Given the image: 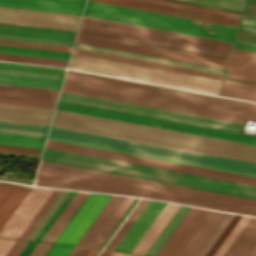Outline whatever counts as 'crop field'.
<instances>
[{
  "instance_id": "crop-field-1",
  "label": "crop field",
  "mask_w": 256,
  "mask_h": 256,
  "mask_svg": "<svg viewBox=\"0 0 256 256\" xmlns=\"http://www.w3.org/2000/svg\"><path fill=\"white\" fill-rule=\"evenodd\" d=\"M35 185L169 200L256 216V200L41 161Z\"/></svg>"
},
{
  "instance_id": "crop-field-2",
  "label": "crop field",
  "mask_w": 256,
  "mask_h": 256,
  "mask_svg": "<svg viewBox=\"0 0 256 256\" xmlns=\"http://www.w3.org/2000/svg\"><path fill=\"white\" fill-rule=\"evenodd\" d=\"M51 125L256 162V146L64 111H55Z\"/></svg>"
},
{
  "instance_id": "crop-field-3",
  "label": "crop field",
  "mask_w": 256,
  "mask_h": 256,
  "mask_svg": "<svg viewBox=\"0 0 256 256\" xmlns=\"http://www.w3.org/2000/svg\"><path fill=\"white\" fill-rule=\"evenodd\" d=\"M63 91L152 106L242 123L256 120V110L107 82L65 76Z\"/></svg>"
},
{
  "instance_id": "crop-field-4",
  "label": "crop field",
  "mask_w": 256,
  "mask_h": 256,
  "mask_svg": "<svg viewBox=\"0 0 256 256\" xmlns=\"http://www.w3.org/2000/svg\"><path fill=\"white\" fill-rule=\"evenodd\" d=\"M41 160L256 199V186L249 184L47 148Z\"/></svg>"
},
{
  "instance_id": "crop-field-5",
  "label": "crop field",
  "mask_w": 256,
  "mask_h": 256,
  "mask_svg": "<svg viewBox=\"0 0 256 256\" xmlns=\"http://www.w3.org/2000/svg\"><path fill=\"white\" fill-rule=\"evenodd\" d=\"M83 15L231 42L238 29L90 0L87 1Z\"/></svg>"
},
{
  "instance_id": "crop-field-6",
  "label": "crop field",
  "mask_w": 256,
  "mask_h": 256,
  "mask_svg": "<svg viewBox=\"0 0 256 256\" xmlns=\"http://www.w3.org/2000/svg\"><path fill=\"white\" fill-rule=\"evenodd\" d=\"M68 68L216 95L219 94L222 82L74 53L71 55Z\"/></svg>"
},
{
  "instance_id": "crop-field-7",
  "label": "crop field",
  "mask_w": 256,
  "mask_h": 256,
  "mask_svg": "<svg viewBox=\"0 0 256 256\" xmlns=\"http://www.w3.org/2000/svg\"><path fill=\"white\" fill-rule=\"evenodd\" d=\"M48 136L256 174V163L247 161L53 126L50 127Z\"/></svg>"
},
{
  "instance_id": "crop-field-8",
  "label": "crop field",
  "mask_w": 256,
  "mask_h": 256,
  "mask_svg": "<svg viewBox=\"0 0 256 256\" xmlns=\"http://www.w3.org/2000/svg\"><path fill=\"white\" fill-rule=\"evenodd\" d=\"M79 30L227 57L230 56L233 45L231 43H225L85 16L82 17Z\"/></svg>"
},
{
  "instance_id": "crop-field-9",
  "label": "crop field",
  "mask_w": 256,
  "mask_h": 256,
  "mask_svg": "<svg viewBox=\"0 0 256 256\" xmlns=\"http://www.w3.org/2000/svg\"><path fill=\"white\" fill-rule=\"evenodd\" d=\"M58 110H64L69 112H75L80 114H86L91 116H97L102 118H108L113 120H119L124 122H130L135 124H141L146 126L158 127L163 129H169L174 131H180L185 133H191L196 135H202L207 137H213L218 139H224L229 141H235L240 143H246L256 145V136L228 132L223 130L211 129L206 127H200L195 125H189L184 123H178L173 121L161 120L156 118H150L145 116H139L134 114L122 113L117 111H111L106 109H100L95 107H89L84 105L72 104L67 102H58Z\"/></svg>"
},
{
  "instance_id": "crop-field-10",
  "label": "crop field",
  "mask_w": 256,
  "mask_h": 256,
  "mask_svg": "<svg viewBox=\"0 0 256 256\" xmlns=\"http://www.w3.org/2000/svg\"><path fill=\"white\" fill-rule=\"evenodd\" d=\"M59 100L78 103V104H84L89 106H95L100 108L112 109L117 111H123L128 113H134L139 115L151 116L156 118H162L167 120L179 121L184 123H190L195 125H201L206 127L218 128L223 130H229L234 132H238L242 125L240 123H234L229 121H223V120L190 115L185 113H179L174 111H168L163 109L151 108L146 106H140L135 104H129L124 102H118V101L107 100V99L96 98L91 96L63 92V91H61L60 93Z\"/></svg>"
},
{
  "instance_id": "crop-field-11",
  "label": "crop field",
  "mask_w": 256,
  "mask_h": 256,
  "mask_svg": "<svg viewBox=\"0 0 256 256\" xmlns=\"http://www.w3.org/2000/svg\"><path fill=\"white\" fill-rule=\"evenodd\" d=\"M45 146L256 185V178L253 177L155 160L60 141L47 139Z\"/></svg>"
},
{
  "instance_id": "crop-field-12",
  "label": "crop field",
  "mask_w": 256,
  "mask_h": 256,
  "mask_svg": "<svg viewBox=\"0 0 256 256\" xmlns=\"http://www.w3.org/2000/svg\"><path fill=\"white\" fill-rule=\"evenodd\" d=\"M76 41L223 69L226 68V64L228 61L226 59H220L210 56H204L194 53H188L178 50L145 45L81 32L78 33Z\"/></svg>"
},
{
  "instance_id": "crop-field-13",
  "label": "crop field",
  "mask_w": 256,
  "mask_h": 256,
  "mask_svg": "<svg viewBox=\"0 0 256 256\" xmlns=\"http://www.w3.org/2000/svg\"><path fill=\"white\" fill-rule=\"evenodd\" d=\"M81 16L0 7V23L76 31Z\"/></svg>"
},
{
  "instance_id": "crop-field-14",
  "label": "crop field",
  "mask_w": 256,
  "mask_h": 256,
  "mask_svg": "<svg viewBox=\"0 0 256 256\" xmlns=\"http://www.w3.org/2000/svg\"><path fill=\"white\" fill-rule=\"evenodd\" d=\"M64 72L0 65V83L59 90Z\"/></svg>"
},
{
  "instance_id": "crop-field-15",
  "label": "crop field",
  "mask_w": 256,
  "mask_h": 256,
  "mask_svg": "<svg viewBox=\"0 0 256 256\" xmlns=\"http://www.w3.org/2000/svg\"><path fill=\"white\" fill-rule=\"evenodd\" d=\"M110 197L91 193L55 243L76 245Z\"/></svg>"
},
{
  "instance_id": "crop-field-16",
  "label": "crop field",
  "mask_w": 256,
  "mask_h": 256,
  "mask_svg": "<svg viewBox=\"0 0 256 256\" xmlns=\"http://www.w3.org/2000/svg\"><path fill=\"white\" fill-rule=\"evenodd\" d=\"M53 189L32 187L0 231L1 238L17 239Z\"/></svg>"
},
{
  "instance_id": "crop-field-17",
  "label": "crop field",
  "mask_w": 256,
  "mask_h": 256,
  "mask_svg": "<svg viewBox=\"0 0 256 256\" xmlns=\"http://www.w3.org/2000/svg\"><path fill=\"white\" fill-rule=\"evenodd\" d=\"M165 205V202L150 200L115 250L131 253Z\"/></svg>"
},
{
  "instance_id": "crop-field-18",
  "label": "crop field",
  "mask_w": 256,
  "mask_h": 256,
  "mask_svg": "<svg viewBox=\"0 0 256 256\" xmlns=\"http://www.w3.org/2000/svg\"><path fill=\"white\" fill-rule=\"evenodd\" d=\"M85 0H0V6L81 15Z\"/></svg>"
},
{
  "instance_id": "crop-field-19",
  "label": "crop field",
  "mask_w": 256,
  "mask_h": 256,
  "mask_svg": "<svg viewBox=\"0 0 256 256\" xmlns=\"http://www.w3.org/2000/svg\"><path fill=\"white\" fill-rule=\"evenodd\" d=\"M54 109L0 103V119L49 125Z\"/></svg>"
},
{
  "instance_id": "crop-field-20",
  "label": "crop field",
  "mask_w": 256,
  "mask_h": 256,
  "mask_svg": "<svg viewBox=\"0 0 256 256\" xmlns=\"http://www.w3.org/2000/svg\"><path fill=\"white\" fill-rule=\"evenodd\" d=\"M126 199L125 196L112 195L77 245L92 247Z\"/></svg>"
},
{
  "instance_id": "crop-field-21",
  "label": "crop field",
  "mask_w": 256,
  "mask_h": 256,
  "mask_svg": "<svg viewBox=\"0 0 256 256\" xmlns=\"http://www.w3.org/2000/svg\"><path fill=\"white\" fill-rule=\"evenodd\" d=\"M96 1L123 5V6L133 7V8L144 9V10H150V11H155L160 13H166V14L193 18V19L209 21L214 23H220V24L236 26V27H238V24H239V21L237 20H231V19H226L221 17H215V16H210L205 14L173 9V8L156 6V5L140 3V2L130 1V0H96Z\"/></svg>"
},
{
  "instance_id": "crop-field-22",
  "label": "crop field",
  "mask_w": 256,
  "mask_h": 256,
  "mask_svg": "<svg viewBox=\"0 0 256 256\" xmlns=\"http://www.w3.org/2000/svg\"><path fill=\"white\" fill-rule=\"evenodd\" d=\"M225 77L256 83V52L234 48Z\"/></svg>"
},
{
  "instance_id": "crop-field-23",
  "label": "crop field",
  "mask_w": 256,
  "mask_h": 256,
  "mask_svg": "<svg viewBox=\"0 0 256 256\" xmlns=\"http://www.w3.org/2000/svg\"><path fill=\"white\" fill-rule=\"evenodd\" d=\"M31 187L0 182V230Z\"/></svg>"
},
{
  "instance_id": "crop-field-24",
  "label": "crop field",
  "mask_w": 256,
  "mask_h": 256,
  "mask_svg": "<svg viewBox=\"0 0 256 256\" xmlns=\"http://www.w3.org/2000/svg\"><path fill=\"white\" fill-rule=\"evenodd\" d=\"M89 195L90 193L88 192L77 191L62 210L60 215L57 217L52 226L49 228L47 233L41 239V241L54 243V241L57 239V237L60 235V233L63 231V229L66 227V225L69 223V221L72 219V217L75 215V213L78 211V209Z\"/></svg>"
},
{
  "instance_id": "crop-field-25",
  "label": "crop field",
  "mask_w": 256,
  "mask_h": 256,
  "mask_svg": "<svg viewBox=\"0 0 256 256\" xmlns=\"http://www.w3.org/2000/svg\"><path fill=\"white\" fill-rule=\"evenodd\" d=\"M72 52L85 54V55H90V56L101 57V58H107V59H112V60H117V61H123V62H128V63H134V64H139V65H144V66H150V67H155V68H160V69H166V70H171V71H177V72H182V73H187V74L204 76V77H209V78H214V79H220V80H222L223 76H224L222 74L199 71V70H194V69L171 66V65H166V64L143 61V60H138V59L115 56V55L104 54V53L93 52V51H87V50L76 49V48H74Z\"/></svg>"
},
{
  "instance_id": "crop-field-26",
  "label": "crop field",
  "mask_w": 256,
  "mask_h": 256,
  "mask_svg": "<svg viewBox=\"0 0 256 256\" xmlns=\"http://www.w3.org/2000/svg\"><path fill=\"white\" fill-rule=\"evenodd\" d=\"M74 47L87 49V50H93V51H99V52H104V53H110V54H115V55L127 56V57H132V58H138V59H143V60L155 61V62H160V63H166V64H171V65L183 66V67H188V68H194V69H199V70L211 71V72H216V73H222V74H224V72H225V70H223V69H217V68H212V67H207V66H201V65L191 64V63H185V62H180V61H175V60H169V59H164V58H159V57L142 55V54H137V53H132V52H126V51H121V50H116V49H110V48L94 46V45H89V44H84V43H78V42L75 43Z\"/></svg>"
},
{
  "instance_id": "crop-field-27",
  "label": "crop field",
  "mask_w": 256,
  "mask_h": 256,
  "mask_svg": "<svg viewBox=\"0 0 256 256\" xmlns=\"http://www.w3.org/2000/svg\"><path fill=\"white\" fill-rule=\"evenodd\" d=\"M179 207V204L167 203L132 253L144 255Z\"/></svg>"
},
{
  "instance_id": "crop-field-28",
  "label": "crop field",
  "mask_w": 256,
  "mask_h": 256,
  "mask_svg": "<svg viewBox=\"0 0 256 256\" xmlns=\"http://www.w3.org/2000/svg\"><path fill=\"white\" fill-rule=\"evenodd\" d=\"M0 33L73 41L76 32L0 24Z\"/></svg>"
},
{
  "instance_id": "crop-field-29",
  "label": "crop field",
  "mask_w": 256,
  "mask_h": 256,
  "mask_svg": "<svg viewBox=\"0 0 256 256\" xmlns=\"http://www.w3.org/2000/svg\"><path fill=\"white\" fill-rule=\"evenodd\" d=\"M256 243V218L251 217L223 256H246Z\"/></svg>"
},
{
  "instance_id": "crop-field-30",
  "label": "crop field",
  "mask_w": 256,
  "mask_h": 256,
  "mask_svg": "<svg viewBox=\"0 0 256 256\" xmlns=\"http://www.w3.org/2000/svg\"><path fill=\"white\" fill-rule=\"evenodd\" d=\"M220 95L256 101V85L225 79Z\"/></svg>"
},
{
  "instance_id": "crop-field-31",
  "label": "crop field",
  "mask_w": 256,
  "mask_h": 256,
  "mask_svg": "<svg viewBox=\"0 0 256 256\" xmlns=\"http://www.w3.org/2000/svg\"><path fill=\"white\" fill-rule=\"evenodd\" d=\"M228 214L216 212L200 236L184 256H197Z\"/></svg>"
},
{
  "instance_id": "crop-field-32",
  "label": "crop field",
  "mask_w": 256,
  "mask_h": 256,
  "mask_svg": "<svg viewBox=\"0 0 256 256\" xmlns=\"http://www.w3.org/2000/svg\"><path fill=\"white\" fill-rule=\"evenodd\" d=\"M189 209V206L181 205V207L178 209V211L175 213V215L172 217V219L148 249V251L145 253L146 256H155L158 253V251L161 249L163 244L169 238L171 233L174 231L176 226L179 224Z\"/></svg>"
},
{
  "instance_id": "crop-field-33",
  "label": "crop field",
  "mask_w": 256,
  "mask_h": 256,
  "mask_svg": "<svg viewBox=\"0 0 256 256\" xmlns=\"http://www.w3.org/2000/svg\"><path fill=\"white\" fill-rule=\"evenodd\" d=\"M44 138L41 136L0 132V144L2 145L42 149Z\"/></svg>"
},
{
  "instance_id": "crop-field-34",
  "label": "crop field",
  "mask_w": 256,
  "mask_h": 256,
  "mask_svg": "<svg viewBox=\"0 0 256 256\" xmlns=\"http://www.w3.org/2000/svg\"><path fill=\"white\" fill-rule=\"evenodd\" d=\"M0 53L19 54V55H28V56H37V57H46V58H55V59H64V60H68L69 54H70L66 52L11 47V46H2V45H0Z\"/></svg>"
},
{
  "instance_id": "crop-field-35",
  "label": "crop field",
  "mask_w": 256,
  "mask_h": 256,
  "mask_svg": "<svg viewBox=\"0 0 256 256\" xmlns=\"http://www.w3.org/2000/svg\"><path fill=\"white\" fill-rule=\"evenodd\" d=\"M49 126L0 120V131L45 136Z\"/></svg>"
},
{
  "instance_id": "crop-field-36",
  "label": "crop field",
  "mask_w": 256,
  "mask_h": 256,
  "mask_svg": "<svg viewBox=\"0 0 256 256\" xmlns=\"http://www.w3.org/2000/svg\"><path fill=\"white\" fill-rule=\"evenodd\" d=\"M0 93L56 99L59 91L0 84Z\"/></svg>"
},
{
  "instance_id": "crop-field-37",
  "label": "crop field",
  "mask_w": 256,
  "mask_h": 256,
  "mask_svg": "<svg viewBox=\"0 0 256 256\" xmlns=\"http://www.w3.org/2000/svg\"><path fill=\"white\" fill-rule=\"evenodd\" d=\"M0 102L54 108L56 100L0 94Z\"/></svg>"
},
{
  "instance_id": "crop-field-38",
  "label": "crop field",
  "mask_w": 256,
  "mask_h": 256,
  "mask_svg": "<svg viewBox=\"0 0 256 256\" xmlns=\"http://www.w3.org/2000/svg\"><path fill=\"white\" fill-rule=\"evenodd\" d=\"M140 201V200H139ZM149 202V200L141 199V201L138 203V205L135 207V209L132 211V213L129 215V217L126 219L124 224L121 226V228L118 230V232L115 234V236L112 238V240L109 242V244L106 246L107 249H112L117 246V244L120 242L122 237L125 235V233L128 231L130 226L133 224L135 219L138 217V215L141 213L143 208L146 206V204Z\"/></svg>"
},
{
  "instance_id": "crop-field-39",
  "label": "crop field",
  "mask_w": 256,
  "mask_h": 256,
  "mask_svg": "<svg viewBox=\"0 0 256 256\" xmlns=\"http://www.w3.org/2000/svg\"><path fill=\"white\" fill-rule=\"evenodd\" d=\"M61 192L62 190L54 189V191L51 193V195L48 197V199L45 201V203L42 205V207L39 209V211L21 233V235L18 237V239L26 240V238L29 236V234L32 232V230L35 228V226L38 224V222L41 220V218L44 216V214L47 212V210L50 208V206L53 204V202L56 200Z\"/></svg>"
},
{
  "instance_id": "crop-field-40",
  "label": "crop field",
  "mask_w": 256,
  "mask_h": 256,
  "mask_svg": "<svg viewBox=\"0 0 256 256\" xmlns=\"http://www.w3.org/2000/svg\"><path fill=\"white\" fill-rule=\"evenodd\" d=\"M159 91L180 94V95H185V96H191V97H196V98H202V99H207V100L219 101V102H224V103H230V104H235V105H240V106H245V107H250V108L256 109V104H254V103L230 100V99L214 97V96H209V95H204V94H199V93H194V92H189V91H184V90L163 87V86H161Z\"/></svg>"
},
{
  "instance_id": "crop-field-41",
  "label": "crop field",
  "mask_w": 256,
  "mask_h": 256,
  "mask_svg": "<svg viewBox=\"0 0 256 256\" xmlns=\"http://www.w3.org/2000/svg\"><path fill=\"white\" fill-rule=\"evenodd\" d=\"M0 60L66 67L68 61L0 54Z\"/></svg>"
},
{
  "instance_id": "crop-field-42",
  "label": "crop field",
  "mask_w": 256,
  "mask_h": 256,
  "mask_svg": "<svg viewBox=\"0 0 256 256\" xmlns=\"http://www.w3.org/2000/svg\"><path fill=\"white\" fill-rule=\"evenodd\" d=\"M135 1L146 2V3L162 5V6H167V7H173V8L183 9V10H189V11H194V12H199V13H205V14H210V15H215V16L231 18V19H237V20L240 19L239 15H233V14H228V13L216 12V11H211V10H205V9L194 8V7H188V6L177 5V4L166 3V2H160V1H155V0H135Z\"/></svg>"
},
{
  "instance_id": "crop-field-43",
  "label": "crop field",
  "mask_w": 256,
  "mask_h": 256,
  "mask_svg": "<svg viewBox=\"0 0 256 256\" xmlns=\"http://www.w3.org/2000/svg\"><path fill=\"white\" fill-rule=\"evenodd\" d=\"M66 74L79 76V77H85V78H91V79H96V80H102V81H107V82H113V83H118V84L130 85V86H135V87H141V88H146V89H152V90H157V91L159 90L158 86H152V85H147V84L119 80V79L103 77V76H98V75H92V74H87V73H81V72H76V71L68 70Z\"/></svg>"
},
{
  "instance_id": "crop-field-44",
  "label": "crop field",
  "mask_w": 256,
  "mask_h": 256,
  "mask_svg": "<svg viewBox=\"0 0 256 256\" xmlns=\"http://www.w3.org/2000/svg\"><path fill=\"white\" fill-rule=\"evenodd\" d=\"M0 39L72 47L73 42L0 34Z\"/></svg>"
},
{
  "instance_id": "crop-field-45",
  "label": "crop field",
  "mask_w": 256,
  "mask_h": 256,
  "mask_svg": "<svg viewBox=\"0 0 256 256\" xmlns=\"http://www.w3.org/2000/svg\"><path fill=\"white\" fill-rule=\"evenodd\" d=\"M48 138L49 139L60 140V141H65V142L81 144V145L98 147V148H103V149H108V150H114V151H119V152H124V153H130V154H135V155H141V156H146V157H151V158H157V159H162V160H167V161H173V162H178V163H184V164H189V165H194V166H200V167H205V168H210V169H216V170L227 171V172H232V173H237V174H243V175H248V176L256 177V175L248 174V173H242V172H237V171H231V170H226V169H220V168H215V167H209V166H204V165H198V164H193V163H187V162H182V161H176V160H171V159L154 157V156H149V155H144V154H138V153H133V152H127V151H122V150H116V149L105 148V147H100V146H94V145H89V144H83V143H78V142H72V141H67V140H61V139H56V138H50V137H48Z\"/></svg>"
},
{
  "instance_id": "crop-field-46",
  "label": "crop field",
  "mask_w": 256,
  "mask_h": 256,
  "mask_svg": "<svg viewBox=\"0 0 256 256\" xmlns=\"http://www.w3.org/2000/svg\"><path fill=\"white\" fill-rule=\"evenodd\" d=\"M250 217L242 216V218L239 220V222L236 224L234 229L231 231V233L228 235V237L225 239L223 244L220 246V248L217 250L214 256H222V254L225 252V250L228 248V246L231 244V242L234 240V238L237 236V234L240 232V230L243 228V226L246 224V222L249 220Z\"/></svg>"
},
{
  "instance_id": "crop-field-47",
  "label": "crop field",
  "mask_w": 256,
  "mask_h": 256,
  "mask_svg": "<svg viewBox=\"0 0 256 256\" xmlns=\"http://www.w3.org/2000/svg\"><path fill=\"white\" fill-rule=\"evenodd\" d=\"M134 200L132 197H128V199L125 201V203L122 205L120 210L117 212V214L114 216L112 221L109 223L107 228L104 230V232L101 234L99 239L96 241V243L93 245V247H99V245L102 243V241L105 239V237L108 235V233L111 231V229L114 227L116 222L119 220V218L122 216V214L125 212V210L128 208V206L131 204V202Z\"/></svg>"
},
{
  "instance_id": "crop-field-48",
  "label": "crop field",
  "mask_w": 256,
  "mask_h": 256,
  "mask_svg": "<svg viewBox=\"0 0 256 256\" xmlns=\"http://www.w3.org/2000/svg\"><path fill=\"white\" fill-rule=\"evenodd\" d=\"M0 44L11 45V46L30 47V48H39V49H48V50H57V51H66V52H70L72 49V48H68V47L31 44V43H22V42H13V41H4V40H0Z\"/></svg>"
},
{
  "instance_id": "crop-field-49",
  "label": "crop field",
  "mask_w": 256,
  "mask_h": 256,
  "mask_svg": "<svg viewBox=\"0 0 256 256\" xmlns=\"http://www.w3.org/2000/svg\"><path fill=\"white\" fill-rule=\"evenodd\" d=\"M77 192V191H76ZM75 193V191H70L69 194L66 196V198L63 200V202L60 204V206L57 208V210L54 212V214L50 217V219L47 221V223L44 225V227L41 229V231L38 233L36 238L34 240L40 241V239L43 237V235L46 233L48 228L51 226V224L54 222L56 217L59 215L61 210L64 208V206L67 204L69 199L72 197V195ZM74 196V195H73ZM71 200V199H70Z\"/></svg>"
},
{
  "instance_id": "crop-field-50",
  "label": "crop field",
  "mask_w": 256,
  "mask_h": 256,
  "mask_svg": "<svg viewBox=\"0 0 256 256\" xmlns=\"http://www.w3.org/2000/svg\"><path fill=\"white\" fill-rule=\"evenodd\" d=\"M206 4L218 5L243 10L245 0H190Z\"/></svg>"
},
{
  "instance_id": "crop-field-51",
  "label": "crop field",
  "mask_w": 256,
  "mask_h": 256,
  "mask_svg": "<svg viewBox=\"0 0 256 256\" xmlns=\"http://www.w3.org/2000/svg\"><path fill=\"white\" fill-rule=\"evenodd\" d=\"M240 218L241 216L235 215V217L232 219V221L229 223V225L226 227V229L223 231V233L220 235V237L217 239V241L214 243V245L205 256H213V254L216 252V250L219 248V246L222 244L224 239L227 237V235L230 233V231Z\"/></svg>"
},
{
  "instance_id": "crop-field-52",
  "label": "crop field",
  "mask_w": 256,
  "mask_h": 256,
  "mask_svg": "<svg viewBox=\"0 0 256 256\" xmlns=\"http://www.w3.org/2000/svg\"><path fill=\"white\" fill-rule=\"evenodd\" d=\"M233 217L234 215L232 214L228 215V217L225 219V221L222 223L219 229L215 232V234L212 236V238L209 240V242L202 249V251L199 253L198 256H204L207 253V251L210 249V247L213 245V243L216 241V239L219 237V235L222 233V231L225 229V227L228 225V223L231 221Z\"/></svg>"
},
{
  "instance_id": "crop-field-53",
  "label": "crop field",
  "mask_w": 256,
  "mask_h": 256,
  "mask_svg": "<svg viewBox=\"0 0 256 256\" xmlns=\"http://www.w3.org/2000/svg\"><path fill=\"white\" fill-rule=\"evenodd\" d=\"M73 247L53 244L45 256H67Z\"/></svg>"
},
{
  "instance_id": "crop-field-54",
  "label": "crop field",
  "mask_w": 256,
  "mask_h": 256,
  "mask_svg": "<svg viewBox=\"0 0 256 256\" xmlns=\"http://www.w3.org/2000/svg\"><path fill=\"white\" fill-rule=\"evenodd\" d=\"M0 151L27 153V154H36V155H40V152H41V150H38V149H29V148H20V147H11V146H2V145H0Z\"/></svg>"
},
{
  "instance_id": "crop-field-55",
  "label": "crop field",
  "mask_w": 256,
  "mask_h": 256,
  "mask_svg": "<svg viewBox=\"0 0 256 256\" xmlns=\"http://www.w3.org/2000/svg\"><path fill=\"white\" fill-rule=\"evenodd\" d=\"M52 244L38 243L29 256H44Z\"/></svg>"
},
{
  "instance_id": "crop-field-56",
  "label": "crop field",
  "mask_w": 256,
  "mask_h": 256,
  "mask_svg": "<svg viewBox=\"0 0 256 256\" xmlns=\"http://www.w3.org/2000/svg\"><path fill=\"white\" fill-rule=\"evenodd\" d=\"M243 15L256 17V0H247Z\"/></svg>"
},
{
  "instance_id": "crop-field-57",
  "label": "crop field",
  "mask_w": 256,
  "mask_h": 256,
  "mask_svg": "<svg viewBox=\"0 0 256 256\" xmlns=\"http://www.w3.org/2000/svg\"><path fill=\"white\" fill-rule=\"evenodd\" d=\"M25 244V241L16 240V242L13 244V246L10 248L5 256H17V254L20 252Z\"/></svg>"
},
{
  "instance_id": "crop-field-58",
  "label": "crop field",
  "mask_w": 256,
  "mask_h": 256,
  "mask_svg": "<svg viewBox=\"0 0 256 256\" xmlns=\"http://www.w3.org/2000/svg\"><path fill=\"white\" fill-rule=\"evenodd\" d=\"M14 242L11 239H0V256H4Z\"/></svg>"
},
{
  "instance_id": "crop-field-59",
  "label": "crop field",
  "mask_w": 256,
  "mask_h": 256,
  "mask_svg": "<svg viewBox=\"0 0 256 256\" xmlns=\"http://www.w3.org/2000/svg\"><path fill=\"white\" fill-rule=\"evenodd\" d=\"M36 245V242H27V244L24 246L18 256H28Z\"/></svg>"
},
{
  "instance_id": "crop-field-60",
  "label": "crop field",
  "mask_w": 256,
  "mask_h": 256,
  "mask_svg": "<svg viewBox=\"0 0 256 256\" xmlns=\"http://www.w3.org/2000/svg\"><path fill=\"white\" fill-rule=\"evenodd\" d=\"M90 248L74 247L69 256H85Z\"/></svg>"
},
{
  "instance_id": "crop-field-61",
  "label": "crop field",
  "mask_w": 256,
  "mask_h": 256,
  "mask_svg": "<svg viewBox=\"0 0 256 256\" xmlns=\"http://www.w3.org/2000/svg\"><path fill=\"white\" fill-rule=\"evenodd\" d=\"M0 64L24 66V67H33V68H42V69H51V70H60V71H64L65 70V69H61V68H53V67H45V66H35V65H25V64H16V63H6V62H0Z\"/></svg>"
},
{
  "instance_id": "crop-field-62",
  "label": "crop field",
  "mask_w": 256,
  "mask_h": 256,
  "mask_svg": "<svg viewBox=\"0 0 256 256\" xmlns=\"http://www.w3.org/2000/svg\"><path fill=\"white\" fill-rule=\"evenodd\" d=\"M236 48H241V49H247V50H252V51H256V45L255 44H249V43H244V42H235V46Z\"/></svg>"
},
{
  "instance_id": "crop-field-63",
  "label": "crop field",
  "mask_w": 256,
  "mask_h": 256,
  "mask_svg": "<svg viewBox=\"0 0 256 256\" xmlns=\"http://www.w3.org/2000/svg\"><path fill=\"white\" fill-rule=\"evenodd\" d=\"M241 23L256 26V18H251V17L243 16Z\"/></svg>"
},
{
  "instance_id": "crop-field-64",
  "label": "crop field",
  "mask_w": 256,
  "mask_h": 256,
  "mask_svg": "<svg viewBox=\"0 0 256 256\" xmlns=\"http://www.w3.org/2000/svg\"><path fill=\"white\" fill-rule=\"evenodd\" d=\"M161 1H167V0H161ZM167 2L178 3V2H173V1H167ZM178 4L189 5V4H184V3H178ZM189 6L200 7V6H195V5H189ZM200 8H206V7H200ZM206 9H211V8H206ZM211 10H217V9H211ZM217 11H222V10H217ZM222 12H228V11H222ZM228 13H233V12H228ZM233 14H239V13H233ZM239 15H241V14H239Z\"/></svg>"
},
{
  "instance_id": "crop-field-65",
  "label": "crop field",
  "mask_w": 256,
  "mask_h": 256,
  "mask_svg": "<svg viewBox=\"0 0 256 256\" xmlns=\"http://www.w3.org/2000/svg\"><path fill=\"white\" fill-rule=\"evenodd\" d=\"M239 30L256 33V29L248 28V27H242V26H240Z\"/></svg>"
},
{
  "instance_id": "crop-field-66",
  "label": "crop field",
  "mask_w": 256,
  "mask_h": 256,
  "mask_svg": "<svg viewBox=\"0 0 256 256\" xmlns=\"http://www.w3.org/2000/svg\"><path fill=\"white\" fill-rule=\"evenodd\" d=\"M110 256H128V254L127 253H121V252L112 251Z\"/></svg>"
},
{
  "instance_id": "crop-field-67",
  "label": "crop field",
  "mask_w": 256,
  "mask_h": 256,
  "mask_svg": "<svg viewBox=\"0 0 256 256\" xmlns=\"http://www.w3.org/2000/svg\"><path fill=\"white\" fill-rule=\"evenodd\" d=\"M247 256H256V244L254 245V247L251 249Z\"/></svg>"
},
{
  "instance_id": "crop-field-68",
  "label": "crop field",
  "mask_w": 256,
  "mask_h": 256,
  "mask_svg": "<svg viewBox=\"0 0 256 256\" xmlns=\"http://www.w3.org/2000/svg\"><path fill=\"white\" fill-rule=\"evenodd\" d=\"M96 251H97V249L91 248V250L88 252V254L86 256H93Z\"/></svg>"
},
{
  "instance_id": "crop-field-69",
  "label": "crop field",
  "mask_w": 256,
  "mask_h": 256,
  "mask_svg": "<svg viewBox=\"0 0 256 256\" xmlns=\"http://www.w3.org/2000/svg\"><path fill=\"white\" fill-rule=\"evenodd\" d=\"M111 253V251L103 250V252L100 254V256H108Z\"/></svg>"
},
{
  "instance_id": "crop-field-70",
  "label": "crop field",
  "mask_w": 256,
  "mask_h": 256,
  "mask_svg": "<svg viewBox=\"0 0 256 256\" xmlns=\"http://www.w3.org/2000/svg\"><path fill=\"white\" fill-rule=\"evenodd\" d=\"M238 33H240V34H246V35L256 36V34H253V33H247V32H241V31H239Z\"/></svg>"
},
{
  "instance_id": "crop-field-71",
  "label": "crop field",
  "mask_w": 256,
  "mask_h": 256,
  "mask_svg": "<svg viewBox=\"0 0 256 256\" xmlns=\"http://www.w3.org/2000/svg\"><path fill=\"white\" fill-rule=\"evenodd\" d=\"M100 251H101V249H98V251L95 253L94 256H97Z\"/></svg>"
}]
</instances>
